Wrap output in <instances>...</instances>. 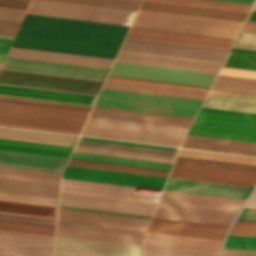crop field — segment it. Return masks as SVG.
I'll list each match as a JSON object with an SVG mask.
<instances>
[{"label": "crop field", "mask_w": 256, "mask_h": 256, "mask_svg": "<svg viewBox=\"0 0 256 256\" xmlns=\"http://www.w3.org/2000/svg\"><path fill=\"white\" fill-rule=\"evenodd\" d=\"M178 156L256 166V157L180 148Z\"/></svg>", "instance_id": "obj_37"}, {"label": "crop field", "mask_w": 256, "mask_h": 256, "mask_svg": "<svg viewBox=\"0 0 256 256\" xmlns=\"http://www.w3.org/2000/svg\"><path fill=\"white\" fill-rule=\"evenodd\" d=\"M0 192L58 199L59 186L0 179Z\"/></svg>", "instance_id": "obj_35"}, {"label": "crop field", "mask_w": 256, "mask_h": 256, "mask_svg": "<svg viewBox=\"0 0 256 256\" xmlns=\"http://www.w3.org/2000/svg\"><path fill=\"white\" fill-rule=\"evenodd\" d=\"M0 100L16 101V102L55 106V107L86 110V111H90V109H91V107H88V106L71 105V104L37 101V100H29V99H20V98H12V97H3V96H0Z\"/></svg>", "instance_id": "obj_52"}, {"label": "crop field", "mask_w": 256, "mask_h": 256, "mask_svg": "<svg viewBox=\"0 0 256 256\" xmlns=\"http://www.w3.org/2000/svg\"><path fill=\"white\" fill-rule=\"evenodd\" d=\"M0 199L57 206L58 200L0 193Z\"/></svg>", "instance_id": "obj_51"}, {"label": "crop field", "mask_w": 256, "mask_h": 256, "mask_svg": "<svg viewBox=\"0 0 256 256\" xmlns=\"http://www.w3.org/2000/svg\"><path fill=\"white\" fill-rule=\"evenodd\" d=\"M182 147L256 155V143L192 135L187 136Z\"/></svg>", "instance_id": "obj_30"}, {"label": "crop field", "mask_w": 256, "mask_h": 256, "mask_svg": "<svg viewBox=\"0 0 256 256\" xmlns=\"http://www.w3.org/2000/svg\"><path fill=\"white\" fill-rule=\"evenodd\" d=\"M0 38H8V39H12L13 36L11 35H3V34H0Z\"/></svg>", "instance_id": "obj_72"}, {"label": "crop field", "mask_w": 256, "mask_h": 256, "mask_svg": "<svg viewBox=\"0 0 256 256\" xmlns=\"http://www.w3.org/2000/svg\"><path fill=\"white\" fill-rule=\"evenodd\" d=\"M235 43L256 46V35L239 33Z\"/></svg>", "instance_id": "obj_60"}, {"label": "crop field", "mask_w": 256, "mask_h": 256, "mask_svg": "<svg viewBox=\"0 0 256 256\" xmlns=\"http://www.w3.org/2000/svg\"><path fill=\"white\" fill-rule=\"evenodd\" d=\"M231 51L234 52H242V53H251V54H256V51L253 50H244V49H236V48H232Z\"/></svg>", "instance_id": "obj_68"}, {"label": "crop field", "mask_w": 256, "mask_h": 256, "mask_svg": "<svg viewBox=\"0 0 256 256\" xmlns=\"http://www.w3.org/2000/svg\"><path fill=\"white\" fill-rule=\"evenodd\" d=\"M109 75L210 87L216 74L115 62Z\"/></svg>", "instance_id": "obj_11"}, {"label": "crop field", "mask_w": 256, "mask_h": 256, "mask_svg": "<svg viewBox=\"0 0 256 256\" xmlns=\"http://www.w3.org/2000/svg\"><path fill=\"white\" fill-rule=\"evenodd\" d=\"M54 237L0 231V253L52 256Z\"/></svg>", "instance_id": "obj_16"}, {"label": "crop field", "mask_w": 256, "mask_h": 256, "mask_svg": "<svg viewBox=\"0 0 256 256\" xmlns=\"http://www.w3.org/2000/svg\"><path fill=\"white\" fill-rule=\"evenodd\" d=\"M135 188L132 186L62 178L61 192L152 204L156 203L158 199L157 195L134 192Z\"/></svg>", "instance_id": "obj_14"}, {"label": "crop field", "mask_w": 256, "mask_h": 256, "mask_svg": "<svg viewBox=\"0 0 256 256\" xmlns=\"http://www.w3.org/2000/svg\"><path fill=\"white\" fill-rule=\"evenodd\" d=\"M0 178L14 179V180H22V181H31V182H39V183H47V184H55V185H59V183H60V181H56V180H48V179H40V178H31V177H23V176H15V175H6V174H0Z\"/></svg>", "instance_id": "obj_55"}, {"label": "crop field", "mask_w": 256, "mask_h": 256, "mask_svg": "<svg viewBox=\"0 0 256 256\" xmlns=\"http://www.w3.org/2000/svg\"><path fill=\"white\" fill-rule=\"evenodd\" d=\"M0 256H14V255H5V254H0Z\"/></svg>", "instance_id": "obj_74"}, {"label": "crop field", "mask_w": 256, "mask_h": 256, "mask_svg": "<svg viewBox=\"0 0 256 256\" xmlns=\"http://www.w3.org/2000/svg\"><path fill=\"white\" fill-rule=\"evenodd\" d=\"M211 89L256 95V80L217 75Z\"/></svg>", "instance_id": "obj_41"}, {"label": "crop field", "mask_w": 256, "mask_h": 256, "mask_svg": "<svg viewBox=\"0 0 256 256\" xmlns=\"http://www.w3.org/2000/svg\"><path fill=\"white\" fill-rule=\"evenodd\" d=\"M89 112L0 101V123L79 132Z\"/></svg>", "instance_id": "obj_5"}, {"label": "crop field", "mask_w": 256, "mask_h": 256, "mask_svg": "<svg viewBox=\"0 0 256 256\" xmlns=\"http://www.w3.org/2000/svg\"><path fill=\"white\" fill-rule=\"evenodd\" d=\"M230 234L256 236V222L236 221Z\"/></svg>", "instance_id": "obj_53"}, {"label": "crop field", "mask_w": 256, "mask_h": 256, "mask_svg": "<svg viewBox=\"0 0 256 256\" xmlns=\"http://www.w3.org/2000/svg\"><path fill=\"white\" fill-rule=\"evenodd\" d=\"M29 2L17 0H0V7L25 10Z\"/></svg>", "instance_id": "obj_57"}, {"label": "crop field", "mask_w": 256, "mask_h": 256, "mask_svg": "<svg viewBox=\"0 0 256 256\" xmlns=\"http://www.w3.org/2000/svg\"><path fill=\"white\" fill-rule=\"evenodd\" d=\"M223 248L256 250V237L229 235Z\"/></svg>", "instance_id": "obj_49"}, {"label": "crop field", "mask_w": 256, "mask_h": 256, "mask_svg": "<svg viewBox=\"0 0 256 256\" xmlns=\"http://www.w3.org/2000/svg\"><path fill=\"white\" fill-rule=\"evenodd\" d=\"M0 83L97 94L103 82L1 70Z\"/></svg>", "instance_id": "obj_13"}, {"label": "crop field", "mask_w": 256, "mask_h": 256, "mask_svg": "<svg viewBox=\"0 0 256 256\" xmlns=\"http://www.w3.org/2000/svg\"><path fill=\"white\" fill-rule=\"evenodd\" d=\"M242 23L139 10L131 27L235 39Z\"/></svg>", "instance_id": "obj_4"}, {"label": "crop field", "mask_w": 256, "mask_h": 256, "mask_svg": "<svg viewBox=\"0 0 256 256\" xmlns=\"http://www.w3.org/2000/svg\"><path fill=\"white\" fill-rule=\"evenodd\" d=\"M148 220L59 208L56 236L140 246Z\"/></svg>", "instance_id": "obj_2"}, {"label": "crop field", "mask_w": 256, "mask_h": 256, "mask_svg": "<svg viewBox=\"0 0 256 256\" xmlns=\"http://www.w3.org/2000/svg\"><path fill=\"white\" fill-rule=\"evenodd\" d=\"M223 66L256 70V55L229 52Z\"/></svg>", "instance_id": "obj_46"}, {"label": "crop field", "mask_w": 256, "mask_h": 256, "mask_svg": "<svg viewBox=\"0 0 256 256\" xmlns=\"http://www.w3.org/2000/svg\"><path fill=\"white\" fill-rule=\"evenodd\" d=\"M1 69L103 81L106 68L7 56Z\"/></svg>", "instance_id": "obj_12"}, {"label": "crop field", "mask_w": 256, "mask_h": 256, "mask_svg": "<svg viewBox=\"0 0 256 256\" xmlns=\"http://www.w3.org/2000/svg\"><path fill=\"white\" fill-rule=\"evenodd\" d=\"M128 27L26 14L11 46L114 58Z\"/></svg>", "instance_id": "obj_1"}, {"label": "crop field", "mask_w": 256, "mask_h": 256, "mask_svg": "<svg viewBox=\"0 0 256 256\" xmlns=\"http://www.w3.org/2000/svg\"><path fill=\"white\" fill-rule=\"evenodd\" d=\"M147 1H155V2H163V3H171V4H179V5H187V6H195V7L243 12V13H248L251 7V5H248V4H240V3H232V2H224V1H216V0H147Z\"/></svg>", "instance_id": "obj_42"}, {"label": "crop field", "mask_w": 256, "mask_h": 256, "mask_svg": "<svg viewBox=\"0 0 256 256\" xmlns=\"http://www.w3.org/2000/svg\"><path fill=\"white\" fill-rule=\"evenodd\" d=\"M240 32L256 34V22L245 21Z\"/></svg>", "instance_id": "obj_63"}, {"label": "crop field", "mask_w": 256, "mask_h": 256, "mask_svg": "<svg viewBox=\"0 0 256 256\" xmlns=\"http://www.w3.org/2000/svg\"><path fill=\"white\" fill-rule=\"evenodd\" d=\"M70 158L169 170L172 164L73 152Z\"/></svg>", "instance_id": "obj_40"}, {"label": "crop field", "mask_w": 256, "mask_h": 256, "mask_svg": "<svg viewBox=\"0 0 256 256\" xmlns=\"http://www.w3.org/2000/svg\"><path fill=\"white\" fill-rule=\"evenodd\" d=\"M219 74L222 75H231V76H240L248 78H256V71L233 69L222 67Z\"/></svg>", "instance_id": "obj_54"}, {"label": "crop field", "mask_w": 256, "mask_h": 256, "mask_svg": "<svg viewBox=\"0 0 256 256\" xmlns=\"http://www.w3.org/2000/svg\"><path fill=\"white\" fill-rule=\"evenodd\" d=\"M136 11L32 0L26 13L129 25Z\"/></svg>", "instance_id": "obj_10"}, {"label": "crop field", "mask_w": 256, "mask_h": 256, "mask_svg": "<svg viewBox=\"0 0 256 256\" xmlns=\"http://www.w3.org/2000/svg\"><path fill=\"white\" fill-rule=\"evenodd\" d=\"M245 207L256 208V191L254 192L248 203L245 205Z\"/></svg>", "instance_id": "obj_66"}, {"label": "crop field", "mask_w": 256, "mask_h": 256, "mask_svg": "<svg viewBox=\"0 0 256 256\" xmlns=\"http://www.w3.org/2000/svg\"><path fill=\"white\" fill-rule=\"evenodd\" d=\"M55 256H84V255H76V254H67V253L55 252Z\"/></svg>", "instance_id": "obj_71"}, {"label": "crop field", "mask_w": 256, "mask_h": 256, "mask_svg": "<svg viewBox=\"0 0 256 256\" xmlns=\"http://www.w3.org/2000/svg\"><path fill=\"white\" fill-rule=\"evenodd\" d=\"M136 10L140 2L128 0H54Z\"/></svg>", "instance_id": "obj_47"}, {"label": "crop field", "mask_w": 256, "mask_h": 256, "mask_svg": "<svg viewBox=\"0 0 256 256\" xmlns=\"http://www.w3.org/2000/svg\"><path fill=\"white\" fill-rule=\"evenodd\" d=\"M174 164L256 173L255 166L205 161V160H197V159H189V158H181V157H177Z\"/></svg>", "instance_id": "obj_43"}, {"label": "crop field", "mask_w": 256, "mask_h": 256, "mask_svg": "<svg viewBox=\"0 0 256 256\" xmlns=\"http://www.w3.org/2000/svg\"><path fill=\"white\" fill-rule=\"evenodd\" d=\"M12 40L0 39V52L6 53Z\"/></svg>", "instance_id": "obj_64"}, {"label": "crop field", "mask_w": 256, "mask_h": 256, "mask_svg": "<svg viewBox=\"0 0 256 256\" xmlns=\"http://www.w3.org/2000/svg\"><path fill=\"white\" fill-rule=\"evenodd\" d=\"M202 107L256 113V96L210 90Z\"/></svg>", "instance_id": "obj_29"}, {"label": "crop field", "mask_w": 256, "mask_h": 256, "mask_svg": "<svg viewBox=\"0 0 256 256\" xmlns=\"http://www.w3.org/2000/svg\"><path fill=\"white\" fill-rule=\"evenodd\" d=\"M6 54H3V53H0V62L3 61L4 57H5Z\"/></svg>", "instance_id": "obj_73"}, {"label": "crop field", "mask_w": 256, "mask_h": 256, "mask_svg": "<svg viewBox=\"0 0 256 256\" xmlns=\"http://www.w3.org/2000/svg\"><path fill=\"white\" fill-rule=\"evenodd\" d=\"M63 158L0 151V165L61 172Z\"/></svg>", "instance_id": "obj_31"}, {"label": "crop field", "mask_w": 256, "mask_h": 256, "mask_svg": "<svg viewBox=\"0 0 256 256\" xmlns=\"http://www.w3.org/2000/svg\"><path fill=\"white\" fill-rule=\"evenodd\" d=\"M1 64H2V63H0V67H1Z\"/></svg>", "instance_id": "obj_75"}, {"label": "crop field", "mask_w": 256, "mask_h": 256, "mask_svg": "<svg viewBox=\"0 0 256 256\" xmlns=\"http://www.w3.org/2000/svg\"><path fill=\"white\" fill-rule=\"evenodd\" d=\"M103 87L137 91V92H145V93H153V94H160V95H168V96H176V97H184V98H192V99H200V100L204 99L208 91L204 89L136 82V81H128V80H119V79H111V78L106 79Z\"/></svg>", "instance_id": "obj_24"}, {"label": "crop field", "mask_w": 256, "mask_h": 256, "mask_svg": "<svg viewBox=\"0 0 256 256\" xmlns=\"http://www.w3.org/2000/svg\"><path fill=\"white\" fill-rule=\"evenodd\" d=\"M111 78H119V79H128V80H136V81H145V82H153V83H162V84H170V85H179V86H187V87H196V88H204V89H208L205 87H197V86H188V85H180V84H171V83H163V82H154V81H146V80H137V79H129V78H120V77H112V76H108Z\"/></svg>", "instance_id": "obj_65"}, {"label": "crop field", "mask_w": 256, "mask_h": 256, "mask_svg": "<svg viewBox=\"0 0 256 256\" xmlns=\"http://www.w3.org/2000/svg\"><path fill=\"white\" fill-rule=\"evenodd\" d=\"M137 1H140V0H137Z\"/></svg>", "instance_id": "obj_77"}, {"label": "crop field", "mask_w": 256, "mask_h": 256, "mask_svg": "<svg viewBox=\"0 0 256 256\" xmlns=\"http://www.w3.org/2000/svg\"><path fill=\"white\" fill-rule=\"evenodd\" d=\"M59 205L151 216L155 205L64 194Z\"/></svg>", "instance_id": "obj_18"}, {"label": "crop field", "mask_w": 256, "mask_h": 256, "mask_svg": "<svg viewBox=\"0 0 256 256\" xmlns=\"http://www.w3.org/2000/svg\"><path fill=\"white\" fill-rule=\"evenodd\" d=\"M119 52L222 64L228 50L126 37Z\"/></svg>", "instance_id": "obj_8"}, {"label": "crop field", "mask_w": 256, "mask_h": 256, "mask_svg": "<svg viewBox=\"0 0 256 256\" xmlns=\"http://www.w3.org/2000/svg\"><path fill=\"white\" fill-rule=\"evenodd\" d=\"M178 148L80 136L73 151L172 163Z\"/></svg>", "instance_id": "obj_9"}, {"label": "crop field", "mask_w": 256, "mask_h": 256, "mask_svg": "<svg viewBox=\"0 0 256 256\" xmlns=\"http://www.w3.org/2000/svg\"><path fill=\"white\" fill-rule=\"evenodd\" d=\"M187 130L89 117L81 135L179 147Z\"/></svg>", "instance_id": "obj_3"}, {"label": "crop field", "mask_w": 256, "mask_h": 256, "mask_svg": "<svg viewBox=\"0 0 256 256\" xmlns=\"http://www.w3.org/2000/svg\"><path fill=\"white\" fill-rule=\"evenodd\" d=\"M0 150L68 158L72 148L0 139Z\"/></svg>", "instance_id": "obj_36"}, {"label": "crop field", "mask_w": 256, "mask_h": 256, "mask_svg": "<svg viewBox=\"0 0 256 256\" xmlns=\"http://www.w3.org/2000/svg\"><path fill=\"white\" fill-rule=\"evenodd\" d=\"M0 212L56 218L57 207L0 200Z\"/></svg>", "instance_id": "obj_38"}, {"label": "crop field", "mask_w": 256, "mask_h": 256, "mask_svg": "<svg viewBox=\"0 0 256 256\" xmlns=\"http://www.w3.org/2000/svg\"><path fill=\"white\" fill-rule=\"evenodd\" d=\"M233 47L256 50V47H255V46H246V45H238V44H234V45H233Z\"/></svg>", "instance_id": "obj_69"}, {"label": "crop field", "mask_w": 256, "mask_h": 256, "mask_svg": "<svg viewBox=\"0 0 256 256\" xmlns=\"http://www.w3.org/2000/svg\"><path fill=\"white\" fill-rule=\"evenodd\" d=\"M214 253H206L192 250L146 246L142 245L141 256H216Z\"/></svg>", "instance_id": "obj_44"}, {"label": "crop field", "mask_w": 256, "mask_h": 256, "mask_svg": "<svg viewBox=\"0 0 256 256\" xmlns=\"http://www.w3.org/2000/svg\"><path fill=\"white\" fill-rule=\"evenodd\" d=\"M0 126L17 127V128H25V129H33V130H41V131H50V132H58V133H66V134H74V135L79 134V133H75V132L50 130V129H42V128H34V127H25V126H17V125H9V124H0Z\"/></svg>", "instance_id": "obj_62"}, {"label": "crop field", "mask_w": 256, "mask_h": 256, "mask_svg": "<svg viewBox=\"0 0 256 256\" xmlns=\"http://www.w3.org/2000/svg\"><path fill=\"white\" fill-rule=\"evenodd\" d=\"M62 177L161 189L166 178L66 166Z\"/></svg>", "instance_id": "obj_15"}, {"label": "crop field", "mask_w": 256, "mask_h": 256, "mask_svg": "<svg viewBox=\"0 0 256 256\" xmlns=\"http://www.w3.org/2000/svg\"><path fill=\"white\" fill-rule=\"evenodd\" d=\"M78 136L0 127V138L73 147Z\"/></svg>", "instance_id": "obj_33"}, {"label": "crop field", "mask_w": 256, "mask_h": 256, "mask_svg": "<svg viewBox=\"0 0 256 256\" xmlns=\"http://www.w3.org/2000/svg\"><path fill=\"white\" fill-rule=\"evenodd\" d=\"M228 227L152 218L147 231L222 240Z\"/></svg>", "instance_id": "obj_23"}, {"label": "crop field", "mask_w": 256, "mask_h": 256, "mask_svg": "<svg viewBox=\"0 0 256 256\" xmlns=\"http://www.w3.org/2000/svg\"><path fill=\"white\" fill-rule=\"evenodd\" d=\"M246 20L256 21V11L255 10H250Z\"/></svg>", "instance_id": "obj_67"}, {"label": "crop field", "mask_w": 256, "mask_h": 256, "mask_svg": "<svg viewBox=\"0 0 256 256\" xmlns=\"http://www.w3.org/2000/svg\"><path fill=\"white\" fill-rule=\"evenodd\" d=\"M221 256H256V251L223 249Z\"/></svg>", "instance_id": "obj_59"}, {"label": "crop field", "mask_w": 256, "mask_h": 256, "mask_svg": "<svg viewBox=\"0 0 256 256\" xmlns=\"http://www.w3.org/2000/svg\"><path fill=\"white\" fill-rule=\"evenodd\" d=\"M0 95L92 106L97 95L0 84Z\"/></svg>", "instance_id": "obj_19"}, {"label": "crop field", "mask_w": 256, "mask_h": 256, "mask_svg": "<svg viewBox=\"0 0 256 256\" xmlns=\"http://www.w3.org/2000/svg\"><path fill=\"white\" fill-rule=\"evenodd\" d=\"M67 165L167 177L169 171L69 159Z\"/></svg>", "instance_id": "obj_39"}, {"label": "crop field", "mask_w": 256, "mask_h": 256, "mask_svg": "<svg viewBox=\"0 0 256 256\" xmlns=\"http://www.w3.org/2000/svg\"><path fill=\"white\" fill-rule=\"evenodd\" d=\"M119 62L217 73L221 65L119 53Z\"/></svg>", "instance_id": "obj_34"}, {"label": "crop field", "mask_w": 256, "mask_h": 256, "mask_svg": "<svg viewBox=\"0 0 256 256\" xmlns=\"http://www.w3.org/2000/svg\"><path fill=\"white\" fill-rule=\"evenodd\" d=\"M202 101L102 88L94 105L195 117Z\"/></svg>", "instance_id": "obj_6"}, {"label": "crop field", "mask_w": 256, "mask_h": 256, "mask_svg": "<svg viewBox=\"0 0 256 256\" xmlns=\"http://www.w3.org/2000/svg\"><path fill=\"white\" fill-rule=\"evenodd\" d=\"M238 220L256 221V209L243 208Z\"/></svg>", "instance_id": "obj_61"}, {"label": "crop field", "mask_w": 256, "mask_h": 256, "mask_svg": "<svg viewBox=\"0 0 256 256\" xmlns=\"http://www.w3.org/2000/svg\"><path fill=\"white\" fill-rule=\"evenodd\" d=\"M169 177L254 187L256 174L174 165Z\"/></svg>", "instance_id": "obj_21"}, {"label": "crop field", "mask_w": 256, "mask_h": 256, "mask_svg": "<svg viewBox=\"0 0 256 256\" xmlns=\"http://www.w3.org/2000/svg\"><path fill=\"white\" fill-rule=\"evenodd\" d=\"M139 9L207 17V18H215V19H223V20H231V21H239V22H243L247 15L243 13H235V12H227V11H219V10H211V9H203V8H195V7L147 2V1H143Z\"/></svg>", "instance_id": "obj_32"}, {"label": "crop field", "mask_w": 256, "mask_h": 256, "mask_svg": "<svg viewBox=\"0 0 256 256\" xmlns=\"http://www.w3.org/2000/svg\"><path fill=\"white\" fill-rule=\"evenodd\" d=\"M224 1H232V2H240V3L252 4L254 0H224Z\"/></svg>", "instance_id": "obj_70"}, {"label": "crop field", "mask_w": 256, "mask_h": 256, "mask_svg": "<svg viewBox=\"0 0 256 256\" xmlns=\"http://www.w3.org/2000/svg\"><path fill=\"white\" fill-rule=\"evenodd\" d=\"M25 1H29V0H25Z\"/></svg>", "instance_id": "obj_76"}, {"label": "crop field", "mask_w": 256, "mask_h": 256, "mask_svg": "<svg viewBox=\"0 0 256 256\" xmlns=\"http://www.w3.org/2000/svg\"><path fill=\"white\" fill-rule=\"evenodd\" d=\"M222 241L146 232L142 244L217 253Z\"/></svg>", "instance_id": "obj_26"}, {"label": "crop field", "mask_w": 256, "mask_h": 256, "mask_svg": "<svg viewBox=\"0 0 256 256\" xmlns=\"http://www.w3.org/2000/svg\"><path fill=\"white\" fill-rule=\"evenodd\" d=\"M164 189L246 198L252 188L169 178Z\"/></svg>", "instance_id": "obj_27"}, {"label": "crop field", "mask_w": 256, "mask_h": 256, "mask_svg": "<svg viewBox=\"0 0 256 256\" xmlns=\"http://www.w3.org/2000/svg\"><path fill=\"white\" fill-rule=\"evenodd\" d=\"M0 173L60 180V173H57V172H48V171H39V170H30V169H21V168L0 166Z\"/></svg>", "instance_id": "obj_48"}, {"label": "crop field", "mask_w": 256, "mask_h": 256, "mask_svg": "<svg viewBox=\"0 0 256 256\" xmlns=\"http://www.w3.org/2000/svg\"><path fill=\"white\" fill-rule=\"evenodd\" d=\"M188 134L256 142V114L201 108Z\"/></svg>", "instance_id": "obj_7"}, {"label": "crop field", "mask_w": 256, "mask_h": 256, "mask_svg": "<svg viewBox=\"0 0 256 256\" xmlns=\"http://www.w3.org/2000/svg\"><path fill=\"white\" fill-rule=\"evenodd\" d=\"M55 251L93 256H139L140 247L56 237Z\"/></svg>", "instance_id": "obj_20"}, {"label": "crop field", "mask_w": 256, "mask_h": 256, "mask_svg": "<svg viewBox=\"0 0 256 256\" xmlns=\"http://www.w3.org/2000/svg\"><path fill=\"white\" fill-rule=\"evenodd\" d=\"M126 36L194 44V45H202V46H210V47H218V48H226V49H229L233 42V40H230V39L151 31V30L134 29V28H130Z\"/></svg>", "instance_id": "obj_25"}, {"label": "crop field", "mask_w": 256, "mask_h": 256, "mask_svg": "<svg viewBox=\"0 0 256 256\" xmlns=\"http://www.w3.org/2000/svg\"><path fill=\"white\" fill-rule=\"evenodd\" d=\"M0 220L55 226L56 219L0 213Z\"/></svg>", "instance_id": "obj_50"}, {"label": "crop field", "mask_w": 256, "mask_h": 256, "mask_svg": "<svg viewBox=\"0 0 256 256\" xmlns=\"http://www.w3.org/2000/svg\"><path fill=\"white\" fill-rule=\"evenodd\" d=\"M236 213L158 203L152 217L230 226Z\"/></svg>", "instance_id": "obj_17"}, {"label": "crop field", "mask_w": 256, "mask_h": 256, "mask_svg": "<svg viewBox=\"0 0 256 256\" xmlns=\"http://www.w3.org/2000/svg\"><path fill=\"white\" fill-rule=\"evenodd\" d=\"M20 22L1 20L0 19V33L14 35Z\"/></svg>", "instance_id": "obj_56"}, {"label": "crop field", "mask_w": 256, "mask_h": 256, "mask_svg": "<svg viewBox=\"0 0 256 256\" xmlns=\"http://www.w3.org/2000/svg\"><path fill=\"white\" fill-rule=\"evenodd\" d=\"M244 199L164 190L162 203L238 212Z\"/></svg>", "instance_id": "obj_22"}, {"label": "crop field", "mask_w": 256, "mask_h": 256, "mask_svg": "<svg viewBox=\"0 0 256 256\" xmlns=\"http://www.w3.org/2000/svg\"><path fill=\"white\" fill-rule=\"evenodd\" d=\"M24 12L25 11H21V10L0 8V16H2V17H10V18L21 19ZM1 19H9V18H1ZM9 20H17V19H9ZM17 21H20V20H17Z\"/></svg>", "instance_id": "obj_58"}, {"label": "crop field", "mask_w": 256, "mask_h": 256, "mask_svg": "<svg viewBox=\"0 0 256 256\" xmlns=\"http://www.w3.org/2000/svg\"><path fill=\"white\" fill-rule=\"evenodd\" d=\"M10 56L98 66L109 68L113 59L93 56L75 55L67 53L49 52L41 50L23 49L11 47L8 54Z\"/></svg>", "instance_id": "obj_28"}, {"label": "crop field", "mask_w": 256, "mask_h": 256, "mask_svg": "<svg viewBox=\"0 0 256 256\" xmlns=\"http://www.w3.org/2000/svg\"><path fill=\"white\" fill-rule=\"evenodd\" d=\"M0 230L54 236L55 227L0 221Z\"/></svg>", "instance_id": "obj_45"}]
</instances>
